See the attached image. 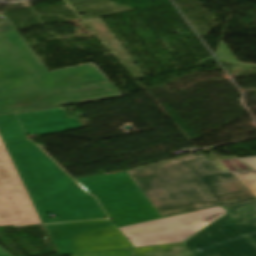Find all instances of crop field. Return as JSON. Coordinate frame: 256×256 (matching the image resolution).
Instances as JSON below:
<instances>
[{"mask_svg":"<svg viewBox=\"0 0 256 256\" xmlns=\"http://www.w3.org/2000/svg\"><path fill=\"white\" fill-rule=\"evenodd\" d=\"M127 173L162 217L256 199L231 172L220 174L201 152Z\"/></svg>","mask_w":256,"mask_h":256,"instance_id":"obj_1","label":"crop field"},{"mask_svg":"<svg viewBox=\"0 0 256 256\" xmlns=\"http://www.w3.org/2000/svg\"><path fill=\"white\" fill-rule=\"evenodd\" d=\"M42 223L106 217L94 197L84 192L36 144H5ZM46 214L59 220L51 221Z\"/></svg>","mask_w":256,"mask_h":256,"instance_id":"obj_2","label":"crop field"},{"mask_svg":"<svg viewBox=\"0 0 256 256\" xmlns=\"http://www.w3.org/2000/svg\"><path fill=\"white\" fill-rule=\"evenodd\" d=\"M120 97L110 81L47 93L0 35V115Z\"/></svg>","mask_w":256,"mask_h":256,"instance_id":"obj_3","label":"crop field"},{"mask_svg":"<svg viewBox=\"0 0 256 256\" xmlns=\"http://www.w3.org/2000/svg\"><path fill=\"white\" fill-rule=\"evenodd\" d=\"M227 214L183 242L192 256H256V202L226 208Z\"/></svg>","mask_w":256,"mask_h":256,"instance_id":"obj_4","label":"crop field"},{"mask_svg":"<svg viewBox=\"0 0 256 256\" xmlns=\"http://www.w3.org/2000/svg\"><path fill=\"white\" fill-rule=\"evenodd\" d=\"M44 227L61 255L131 248L110 221L92 220Z\"/></svg>","mask_w":256,"mask_h":256,"instance_id":"obj_5","label":"crop field"},{"mask_svg":"<svg viewBox=\"0 0 256 256\" xmlns=\"http://www.w3.org/2000/svg\"><path fill=\"white\" fill-rule=\"evenodd\" d=\"M225 213L219 206L118 229L134 247L183 242Z\"/></svg>","mask_w":256,"mask_h":256,"instance_id":"obj_6","label":"crop field"},{"mask_svg":"<svg viewBox=\"0 0 256 256\" xmlns=\"http://www.w3.org/2000/svg\"><path fill=\"white\" fill-rule=\"evenodd\" d=\"M0 33L47 92L107 81L94 64L48 72L9 20L0 22Z\"/></svg>","mask_w":256,"mask_h":256,"instance_id":"obj_7","label":"crop field"},{"mask_svg":"<svg viewBox=\"0 0 256 256\" xmlns=\"http://www.w3.org/2000/svg\"><path fill=\"white\" fill-rule=\"evenodd\" d=\"M41 223L0 139V224Z\"/></svg>","mask_w":256,"mask_h":256,"instance_id":"obj_8","label":"crop field"},{"mask_svg":"<svg viewBox=\"0 0 256 256\" xmlns=\"http://www.w3.org/2000/svg\"><path fill=\"white\" fill-rule=\"evenodd\" d=\"M96 197L117 226L161 217L141 190Z\"/></svg>","mask_w":256,"mask_h":256,"instance_id":"obj_9","label":"crop field"},{"mask_svg":"<svg viewBox=\"0 0 256 256\" xmlns=\"http://www.w3.org/2000/svg\"><path fill=\"white\" fill-rule=\"evenodd\" d=\"M26 134L39 136L82 127L78 118L70 119L60 108L17 115Z\"/></svg>","mask_w":256,"mask_h":256,"instance_id":"obj_10","label":"crop field"},{"mask_svg":"<svg viewBox=\"0 0 256 256\" xmlns=\"http://www.w3.org/2000/svg\"><path fill=\"white\" fill-rule=\"evenodd\" d=\"M76 181L93 195L138 189L126 172L82 178Z\"/></svg>","mask_w":256,"mask_h":256,"instance_id":"obj_11","label":"crop field"},{"mask_svg":"<svg viewBox=\"0 0 256 256\" xmlns=\"http://www.w3.org/2000/svg\"><path fill=\"white\" fill-rule=\"evenodd\" d=\"M0 137L3 143L26 139L14 114L0 116Z\"/></svg>","mask_w":256,"mask_h":256,"instance_id":"obj_12","label":"crop field"},{"mask_svg":"<svg viewBox=\"0 0 256 256\" xmlns=\"http://www.w3.org/2000/svg\"><path fill=\"white\" fill-rule=\"evenodd\" d=\"M134 256H191L183 244L155 246L134 250Z\"/></svg>","mask_w":256,"mask_h":256,"instance_id":"obj_13","label":"crop field"},{"mask_svg":"<svg viewBox=\"0 0 256 256\" xmlns=\"http://www.w3.org/2000/svg\"><path fill=\"white\" fill-rule=\"evenodd\" d=\"M252 170L232 172L256 197V157L240 159Z\"/></svg>","mask_w":256,"mask_h":256,"instance_id":"obj_14","label":"crop field"},{"mask_svg":"<svg viewBox=\"0 0 256 256\" xmlns=\"http://www.w3.org/2000/svg\"><path fill=\"white\" fill-rule=\"evenodd\" d=\"M132 249L113 250L104 252H94L85 254H75L71 256H131Z\"/></svg>","mask_w":256,"mask_h":256,"instance_id":"obj_15","label":"crop field"},{"mask_svg":"<svg viewBox=\"0 0 256 256\" xmlns=\"http://www.w3.org/2000/svg\"><path fill=\"white\" fill-rule=\"evenodd\" d=\"M0 256H11L8 252L0 248Z\"/></svg>","mask_w":256,"mask_h":256,"instance_id":"obj_16","label":"crop field"},{"mask_svg":"<svg viewBox=\"0 0 256 256\" xmlns=\"http://www.w3.org/2000/svg\"><path fill=\"white\" fill-rule=\"evenodd\" d=\"M245 242H247V243H249V244H251V245H254L252 242H250L249 240H246ZM254 246H256V245H254Z\"/></svg>","mask_w":256,"mask_h":256,"instance_id":"obj_17","label":"crop field"}]
</instances>
